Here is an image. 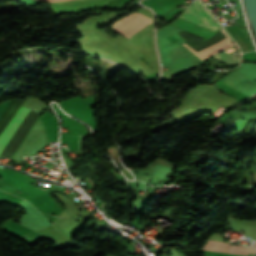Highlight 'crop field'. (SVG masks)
<instances>
[{
	"label": "crop field",
	"instance_id": "crop-field-1",
	"mask_svg": "<svg viewBox=\"0 0 256 256\" xmlns=\"http://www.w3.org/2000/svg\"><path fill=\"white\" fill-rule=\"evenodd\" d=\"M48 142L49 139L39 115L25 139L12 157V160L19 162L24 155L33 156Z\"/></svg>",
	"mask_w": 256,
	"mask_h": 256
},
{
	"label": "crop field",
	"instance_id": "crop-field-2",
	"mask_svg": "<svg viewBox=\"0 0 256 256\" xmlns=\"http://www.w3.org/2000/svg\"><path fill=\"white\" fill-rule=\"evenodd\" d=\"M180 18L216 32L221 26L200 1H195L186 9Z\"/></svg>",
	"mask_w": 256,
	"mask_h": 256
},
{
	"label": "crop field",
	"instance_id": "crop-field-3",
	"mask_svg": "<svg viewBox=\"0 0 256 256\" xmlns=\"http://www.w3.org/2000/svg\"><path fill=\"white\" fill-rule=\"evenodd\" d=\"M108 0H70L50 3L55 12L106 5Z\"/></svg>",
	"mask_w": 256,
	"mask_h": 256
},
{
	"label": "crop field",
	"instance_id": "crop-field-4",
	"mask_svg": "<svg viewBox=\"0 0 256 256\" xmlns=\"http://www.w3.org/2000/svg\"><path fill=\"white\" fill-rule=\"evenodd\" d=\"M202 249L236 253V254H244V255H247L248 253L256 254V249L254 248L229 245V243H226V242L211 241V240H207L204 246L202 247Z\"/></svg>",
	"mask_w": 256,
	"mask_h": 256
},
{
	"label": "crop field",
	"instance_id": "crop-field-5",
	"mask_svg": "<svg viewBox=\"0 0 256 256\" xmlns=\"http://www.w3.org/2000/svg\"><path fill=\"white\" fill-rule=\"evenodd\" d=\"M171 25L178 27L184 31H188L190 33L203 37L205 39L214 35V32L204 29L202 27H199L195 24H192L180 18L176 19L173 23H171Z\"/></svg>",
	"mask_w": 256,
	"mask_h": 256
},
{
	"label": "crop field",
	"instance_id": "crop-field-6",
	"mask_svg": "<svg viewBox=\"0 0 256 256\" xmlns=\"http://www.w3.org/2000/svg\"><path fill=\"white\" fill-rule=\"evenodd\" d=\"M26 112H27V109L21 107L20 110L15 115V117L10 122V124L7 126L3 134L0 136V152Z\"/></svg>",
	"mask_w": 256,
	"mask_h": 256
},
{
	"label": "crop field",
	"instance_id": "crop-field-7",
	"mask_svg": "<svg viewBox=\"0 0 256 256\" xmlns=\"http://www.w3.org/2000/svg\"><path fill=\"white\" fill-rule=\"evenodd\" d=\"M213 57H215L231 66H236L239 64V60H238L237 56L231 55L226 52L218 53V54L214 55Z\"/></svg>",
	"mask_w": 256,
	"mask_h": 256
},
{
	"label": "crop field",
	"instance_id": "crop-field-8",
	"mask_svg": "<svg viewBox=\"0 0 256 256\" xmlns=\"http://www.w3.org/2000/svg\"><path fill=\"white\" fill-rule=\"evenodd\" d=\"M12 101H13V99L5 101L0 104V117L3 115V113L5 112V110L8 108V106L10 105V103Z\"/></svg>",
	"mask_w": 256,
	"mask_h": 256
},
{
	"label": "crop field",
	"instance_id": "crop-field-9",
	"mask_svg": "<svg viewBox=\"0 0 256 256\" xmlns=\"http://www.w3.org/2000/svg\"><path fill=\"white\" fill-rule=\"evenodd\" d=\"M139 178H140V179H144V180H148V181L150 180V178H149V177H145V176H141V175H140V177H139Z\"/></svg>",
	"mask_w": 256,
	"mask_h": 256
},
{
	"label": "crop field",
	"instance_id": "crop-field-10",
	"mask_svg": "<svg viewBox=\"0 0 256 256\" xmlns=\"http://www.w3.org/2000/svg\"><path fill=\"white\" fill-rule=\"evenodd\" d=\"M250 246H252V247H256V241L252 240V242H251Z\"/></svg>",
	"mask_w": 256,
	"mask_h": 256
},
{
	"label": "crop field",
	"instance_id": "crop-field-11",
	"mask_svg": "<svg viewBox=\"0 0 256 256\" xmlns=\"http://www.w3.org/2000/svg\"><path fill=\"white\" fill-rule=\"evenodd\" d=\"M42 1L53 2V1H62V0H42Z\"/></svg>",
	"mask_w": 256,
	"mask_h": 256
}]
</instances>
